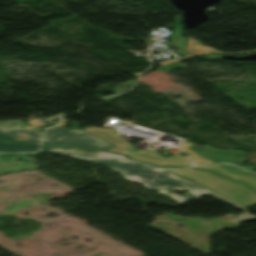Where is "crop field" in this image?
I'll list each match as a JSON object with an SVG mask.
<instances>
[{
  "label": "crop field",
  "instance_id": "8a807250",
  "mask_svg": "<svg viewBox=\"0 0 256 256\" xmlns=\"http://www.w3.org/2000/svg\"><path fill=\"white\" fill-rule=\"evenodd\" d=\"M92 161L103 166H107L121 173L126 179L130 181L141 183L152 190L169 195L175 202L179 204L191 200L193 198H199L205 194H210L223 200L226 203H231L245 210V213L237 216V219L234 220L232 223L239 224L245 220L256 219V216L248 214V209H245L227 199H224L216 194H213L197 186L195 183L182 179L167 170L156 169L136 162L116 158H102ZM170 189H179L190 192L187 196L182 197L178 194L169 191Z\"/></svg>",
  "mask_w": 256,
  "mask_h": 256
},
{
  "label": "crop field",
  "instance_id": "ac0d7876",
  "mask_svg": "<svg viewBox=\"0 0 256 256\" xmlns=\"http://www.w3.org/2000/svg\"><path fill=\"white\" fill-rule=\"evenodd\" d=\"M177 175L192 179L196 184L225 197L243 207L256 204V194L240 184L233 183L222 177L213 175L206 171L188 169V170H170ZM210 184V186H207Z\"/></svg>",
  "mask_w": 256,
  "mask_h": 256
},
{
  "label": "crop field",
  "instance_id": "34b2d1b8",
  "mask_svg": "<svg viewBox=\"0 0 256 256\" xmlns=\"http://www.w3.org/2000/svg\"><path fill=\"white\" fill-rule=\"evenodd\" d=\"M85 131L107 140L113 144L114 147L107 150L119 154H125L132 159L146 162L153 165H168V166H189L191 162L186 157H181V151L177 152L170 158H165L158 154V152L148 150H137L133 148L127 141L120 139L116 135V128L99 129V128H85Z\"/></svg>",
  "mask_w": 256,
  "mask_h": 256
},
{
  "label": "crop field",
  "instance_id": "412701ff",
  "mask_svg": "<svg viewBox=\"0 0 256 256\" xmlns=\"http://www.w3.org/2000/svg\"><path fill=\"white\" fill-rule=\"evenodd\" d=\"M60 133L62 134L55 138L53 141H51ZM43 144L81 148H96L104 151L114 146L113 144L107 141H104L89 133L80 132L79 130L47 131Z\"/></svg>",
  "mask_w": 256,
  "mask_h": 256
},
{
  "label": "crop field",
  "instance_id": "f4fd0767",
  "mask_svg": "<svg viewBox=\"0 0 256 256\" xmlns=\"http://www.w3.org/2000/svg\"><path fill=\"white\" fill-rule=\"evenodd\" d=\"M20 122H0V141L39 144L43 133L38 132L37 128L33 126H25L21 129L19 128Z\"/></svg>",
  "mask_w": 256,
  "mask_h": 256
},
{
  "label": "crop field",
  "instance_id": "dd49c442",
  "mask_svg": "<svg viewBox=\"0 0 256 256\" xmlns=\"http://www.w3.org/2000/svg\"><path fill=\"white\" fill-rule=\"evenodd\" d=\"M198 143H204V142H196L191 147H189V149L195 151L200 155L207 157L208 159H210L215 163L232 162L246 170H252L256 168V166L242 165V162L245 160L244 155H246L247 152H244L241 150H234V149L223 150V149L213 148L206 143L204 147H200V146H197Z\"/></svg>",
  "mask_w": 256,
  "mask_h": 256
},
{
  "label": "crop field",
  "instance_id": "e52e79f7",
  "mask_svg": "<svg viewBox=\"0 0 256 256\" xmlns=\"http://www.w3.org/2000/svg\"><path fill=\"white\" fill-rule=\"evenodd\" d=\"M194 168L206 169L217 174H220L224 177L232 179L234 181L243 183L256 191V177L251 175L239 174V173H232L218 165H203V166H196Z\"/></svg>",
  "mask_w": 256,
  "mask_h": 256
},
{
  "label": "crop field",
  "instance_id": "d8731c3e",
  "mask_svg": "<svg viewBox=\"0 0 256 256\" xmlns=\"http://www.w3.org/2000/svg\"><path fill=\"white\" fill-rule=\"evenodd\" d=\"M188 42H187V48L186 51L196 55V56H202L205 54L209 53H220V54H244V53H250V52H256V50H251V51H244V52H222V51H217L213 48L210 47H205L203 43L199 42L198 40L192 38V37H187Z\"/></svg>",
  "mask_w": 256,
  "mask_h": 256
},
{
  "label": "crop field",
  "instance_id": "5a996713",
  "mask_svg": "<svg viewBox=\"0 0 256 256\" xmlns=\"http://www.w3.org/2000/svg\"><path fill=\"white\" fill-rule=\"evenodd\" d=\"M21 169H27L30 170L31 168L18 163L16 160L1 154L0 155V174L2 173H8V172H14Z\"/></svg>",
  "mask_w": 256,
  "mask_h": 256
},
{
  "label": "crop field",
  "instance_id": "3316defc",
  "mask_svg": "<svg viewBox=\"0 0 256 256\" xmlns=\"http://www.w3.org/2000/svg\"><path fill=\"white\" fill-rule=\"evenodd\" d=\"M41 150H55L59 152L69 153L73 155H78L86 158L95 157L96 153L99 151L96 150H85V149H76V148H67V147H52V146H42Z\"/></svg>",
  "mask_w": 256,
  "mask_h": 256
},
{
  "label": "crop field",
  "instance_id": "28ad6ade",
  "mask_svg": "<svg viewBox=\"0 0 256 256\" xmlns=\"http://www.w3.org/2000/svg\"><path fill=\"white\" fill-rule=\"evenodd\" d=\"M39 146L21 143H0V152L37 151Z\"/></svg>",
  "mask_w": 256,
  "mask_h": 256
},
{
  "label": "crop field",
  "instance_id": "d1516ede",
  "mask_svg": "<svg viewBox=\"0 0 256 256\" xmlns=\"http://www.w3.org/2000/svg\"><path fill=\"white\" fill-rule=\"evenodd\" d=\"M192 142H185L181 146H179L186 154H188L189 158L195 163V164H201V163H213L207 158L200 156L193 151L187 149L190 145H192Z\"/></svg>",
  "mask_w": 256,
  "mask_h": 256
},
{
  "label": "crop field",
  "instance_id": "22f410ed",
  "mask_svg": "<svg viewBox=\"0 0 256 256\" xmlns=\"http://www.w3.org/2000/svg\"><path fill=\"white\" fill-rule=\"evenodd\" d=\"M34 154L35 153L6 154V155H8V156H10V157H12V158H14L16 160L21 159L22 163H24V164H26V165H28V166H30V167L35 169V168L39 167V164L38 165L33 164L34 162H36V161H32L33 159H31L30 162L27 161L29 159H26L27 156H34Z\"/></svg>",
  "mask_w": 256,
  "mask_h": 256
},
{
  "label": "crop field",
  "instance_id": "cbeb9de0",
  "mask_svg": "<svg viewBox=\"0 0 256 256\" xmlns=\"http://www.w3.org/2000/svg\"><path fill=\"white\" fill-rule=\"evenodd\" d=\"M177 32H179V34H175ZM180 33H181L180 31H176V30L171 32V35H170L171 37L169 39H172V41L169 42L168 44L173 45V46H175V47H177L179 49L184 50L185 43H186V38L180 36ZM175 35L178 36L177 39H174ZM180 37H182L183 39H180Z\"/></svg>",
  "mask_w": 256,
  "mask_h": 256
},
{
  "label": "crop field",
  "instance_id": "5142ce71",
  "mask_svg": "<svg viewBox=\"0 0 256 256\" xmlns=\"http://www.w3.org/2000/svg\"><path fill=\"white\" fill-rule=\"evenodd\" d=\"M179 53L183 54L184 56L182 58H179V59H172V60H165L163 62H160L158 63L160 66L162 65H168L172 62H176V61H181V60H184V59H187V58H191V57H194L193 55L189 54V53H186L182 50L179 51Z\"/></svg>",
  "mask_w": 256,
  "mask_h": 256
},
{
  "label": "crop field",
  "instance_id": "d9b57169",
  "mask_svg": "<svg viewBox=\"0 0 256 256\" xmlns=\"http://www.w3.org/2000/svg\"><path fill=\"white\" fill-rule=\"evenodd\" d=\"M221 166L233 171V172H239V173H245V174H251V175H256V173H250L247 171H244L238 167L232 166V165H227V164H220Z\"/></svg>",
  "mask_w": 256,
  "mask_h": 256
},
{
  "label": "crop field",
  "instance_id": "733c2abd",
  "mask_svg": "<svg viewBox=\"0 0 256 256\" xmlns=\"http://www.w3.org/2000/svg\"><path fill=\"white\" fill-rule=\"evenodd\" d=\"M101 156H113V157H124L122 155L118 154H112V153H105V152H100L96 155V157H101ZM126 158V157H125Z\"/></svg>",
  "mask_w": 256,
  "mask_h": 256
},
{
  "label": "crop field",
  "instance_id": "4a817a6b",
  "mask_svg": "<svg viewBox=\"0 0 256 256\" xmlns=\"http://www.w3.org/2000/svg\"><path fill=\"white\" fill-rule=\"evenodd\" d=\"M174 27L181 30V27L179 25V15L175 16Z\"/></svg>",
  "mask_w": 256,
  "mask_h": 256
}]
</instances>
